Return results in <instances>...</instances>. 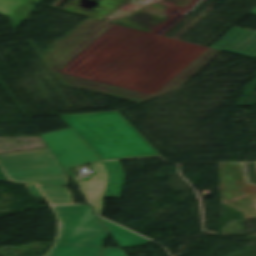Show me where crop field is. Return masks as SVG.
Instances as JSON below:
<instances>
[{
  "label": "crop field",
  "instance_id": "crop-field-1",
  "mask_svg": "<svg viewBox=\"0 0 256 256\" xmlns=\"http://www.w3.org/2000/svg\"><path fill=\"white\" fill-rule=\"evenodd\" d=\"M103 159L159 156L117 112L60 116Z\"/></svg>",
  "mask_w": 256,
  "mask_h": 256
},
{
  "label": "crop field",
  "instance_id": "crop-field-2",
  "mask_svg": "<svg viewBox=\"0 0 256 256\" xmlns=\"http://www.w3.org/2000/svg\"><path fill=\"white\" fill-rule=\"evenodd\" d=\"M61 231L51 256H100L108 234L89 205L54 206Z\"/></svg>",
  "mask_w": 256,
  "mask_h": 256
},
{
  "label": "crop field",
  "instance_id": "crop-field-3",
  "mask_svg": "<svg viewBox=\"0 0 256 256\" xmlns=\"http://www.w3.org/2000/svg\"><path fill=\"white\" fill-rule=\"evenodd\" d=\"M0 164L13 182L67 185V176L48 149L0 154Z\"/></svg>",
  "mask_w": 256,
  "mask_h": 256
},
{
  "label": "crop field",
  "instance_id": "crop-field-4",
  "mask_svg": "<svg viewBox=\"0 0 256 256\" xmlns=\"http://www.w3.org/2000/svg\"><path fill=\"white\" fill-rule=\"evenodd\" d=\"M223 203L256 218V186L246 184L243 164H220Z\"/></svg>",
  "mask_w": 256,
  "mask_h": 256
},
{
  "label": "crop field",
  "instance_id": "crop-field-5",
  "mask_svg": "<svg viewBox=\"0 0 256 256\" xmlns=\"http://www.w3.org/2000/svg\"><path fill=\"white\" fill-rule=\"evenodd\" d=\"M41 137L76 186L79 184L72 175V169L75 166L100 161L70 129L42 134Z\"/></svg>",
  "mask_w": 256,
  "mask_h": 256
},
{
  "label": "crop field",
  "instance_id": "crop-field-6",
  "mask_svg": "<svg viewBox=\"0 0 256 256\" xmlns=\"http://www.w3.org/2000/svg\"><path fill=\"white\" fill-rule=\"evenodd\" d=\"M210 48L256 59V33L233 28Z\"/></svg>",
  "mask_w": 256,
  "mask_h": 256
},
{
  "label": "crop field",
  "instance_id": "crop-field-7",
  "mask_svg": "<svg viewBox=\"0 0 256 256\" xmlns=\"http://www.w3.org/2000/svg\"><path fill=\"white\" fill-rule=\"evenodd\" d=\"M92 167L96 174L91 176L89 181H83L82 191L93 204L98 214H100L107 174L101 163L95 164Z\"/></svg>",
  "mask_w": 256,
  "mask_h": 256
},
{
  "label": "crop field",
  "instance_id": "crop-field-8",
  "mask_svg": "<svg viewBox=\"0 0 256 256\" xmlns=\"http://www.w3.org/2000/svg\"><path fill=\"white\" fill-rule=\"evenodd\" d=\"M34 198L45 197L49 204L73 203L67 188L27 186Z\"/></svg>",
  "mask_w": 256,
  "mask_h": 256
},
{
  "label": "crop field",
  "instance_id": "crop-field-9",
  "mask_svg": "<svg viewBox=\"0 0 256 256\" xmlns=\"http://www.w3.org/2000/svg\"><path fill=\"white\" fill-rule=\"evenodd\" d=\"M102 221L106 225L108 230L111 232V234L113 235V237L115 238V240L117 241V243L121 248H127L131 246H136V245H141V244H146L148 242H151L139 235H136L121 227L111 224L105 220H102Z\"/></svg>",
  "mask_w": 256,
  "mask_h": 256
},
{
  "label": "crop field",
  "instance_id": "crop-field-10",
  "mask_svg": "<svg viewBox=\"0 0 256 256\" xmlns=\"http://www.w3.org/2000/svg\"><path fill=\"white\" fill-rule=\"evenodd\" d=\"M105 163L111 175L105 197L119 199V195H120V191H121V187L124 179L121 166L118 161H109Z\"/></svg>",
  "mask_w": 256,
  "mask_h": 256
},
{
  "label": "crop field",
  "instance_id": "crop-field-11",
  "mask_svg": "<svg viewBox=\"0 0 256 256\" xmlns=\"http://www.w3.org/2000/svg\"><path fill=\"white\" fill-rule=\"evenodd\" d=\"M102 256H125L122 249L104 248Z\"/></svg>",
  "mask_w": 256,
  "mask_h": 256
},
{
  "label": "crop field",
  "instance_id": "crop-field-12",
  "mask_svg": "<svg viewBox=\"0 0 256 256\" xmlns=\"http://www.w3.org/2000/svg\"><path fill=\"white\" fill-rule=\"evenodd\" d=\"M0 180L8 181L1 169H0Z\"/></svg>",
  "mask_w": 256,
  "mask_h": 256
}]
</instances>
